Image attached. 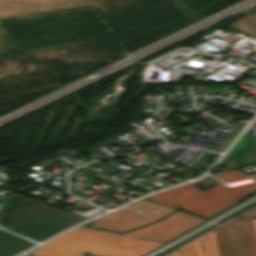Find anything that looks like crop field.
Listing matches in <instances>:
<instances>
[{"label": "crop field", "instance_id": "9", "mask_svg": "<svg viewBox=\"0 0 256 256\" xmlns=\"http://www.w3.org/2000/svg\"><path fill=\"white\" fill-rule=\"evenodd\" d=\"M250 256H256V228L254 220H244Z\"/></svg>", "mask_w": 256, "mask_h": 256}, {"label": "crop field", "instance_id": "1", "mask_svg": "<svg viewBox=\"0 0 256 256\" xmlns=\"http://www.w3.org/2000/svg\"><path fill=\"white\" fill-rule=\"evenodd\" d=\"M119 233L78 227L37 248L39 256H141L163 243L118 236Z\"/></svg>", "mask_w": 256, "mask_h": 256}, {"label": "crop field", "instance_id": "10", "mask_svg": "<svg viewBox=\"0 0 256 256\" xmlns=\"http://www.w3.org/2000/svg\"><path fill=\"white\" fill-rule=\"evenodd\" d=\"M253 175H256V173L245 176L240 170H237V171L228 172V173H224V174H218V175H214V176L222 179L223 181H235V180H239V179L253 176Z\"/></svg>", "mask_w": 256, "mask_h": 256}, {"label": "crop field", "instance_id": "12", "mask_svg": "<svg viewBox=\"0 0 256 256\" xmlns=\"http://www.w3.org/2000/svg\"><path fill=\"white\" fill-rule=\"evenodd\" d=\"M179 251H180V250H178V251H176V252H174V253H172V254H170V255H168V256H178V255H179Z\"/></svg>", "mask_w": 256, "mask_h": 256}, {"label": "crop field", "instance_id": "6", "mask_svg": "<svg viewBox=\"0 0 256 256\" xmlns=\"http://www.w3.org/2000/svg\"><path fill=\"white\" fill-rule=\"evenodd\" d=\"M234 256H249L243 220L228 222Z\"/></svg>", "mask_w": 256, "mask_h": 256}, {"label": "crop field", "instance_id": "2", "mask_svg": "<svg viewBox=\"0 0 256 256\" xmlns=\"http://www.w3.org/2000/svg\"><path fill=\"white\" fill-rule=\"evenodd\" d=\"M212 178L208 177L199 182ZM215 182L218 184L206 191L196 189L194 186L197 183H195L148 196L146 199L207 218L256 191V183L226 188L221 185L222 181ZM176 205L181 207H174Z\"/></svg>", "mask_w": 256, "mask_h": 256}, {"label": "crop field", "instance_id": "8", "mask_svg": "<svg viewBox=\"0 0 256 256\" xmlns=\"http://www.w3.org/2000/svg\"><path fill=\"white\" fill-rule=\"evenodd\" d=\"M218 237L220 256H233L228 225L225 224L215 229Z\"/></svg>", "mask_w": 256, "mask_h": 256}, {"label": "crop field", "instance_id": "7", "mask_svg": "<svg viewBox=\"0 0 256 256\" xmlns=\"http://www.w3.org/2000/svg\"><path fill=\"white\" fill-rule=\"evenodd\" d=\"M228 27L256 39V14H249L229 24Z\"/></svg>", "mask_w": 256, "mask_h": 256}, {"label": "crop field", "instance_id": "3", "mask_svg": "<svg viewBox=\"0 0 256 256\" xmlns=\"http://www.w3.org/2000/svg\"><path fill=\"white\" fill-rule=\"evenodd\" d=\"M174 210L140 200L94 220L93 227L123 232L153 222Z\"/></svg>", "mask_w": 256, "mask_h": 256}, {"label": "crop field", "instance_id": "5", "mask_svg": "<svg viewBox=\"0 0 256 256\" xmlns=\"http://www.w3.org/2000/svg\"><path fill=\"white\" fill-rule=\"evenodd\" d=\"M200 245H204V248H200ZM179 256H219V248L215 231H212L181 248Z\"/></svg>", "mask_w": 256, "mask_h": 256}, {"label": "crop field", "instance_id": "4", "mask_svg": "<svg viewBox=\"0 0 256 256\" xmlns=\"http://www.w3.org/2000/svg\"><path fill=\"white\" fill-rule=\"evenodd\" d=\"M202 222L201 219L177 211L162 221L120 235L166 243Z\"/></svg>", "mask_w": 256, "mask_h": 256}, {"label": "crop field", "instance_id": "13", "mask_svg": "<svg viewBox=\"0 0 256 256\" xmlns=\"http://www.w3.org/2000/svg\"><path fill=\"white\" fill-rule=\"evenodd\" d=\"M255 222H256V220H255Z\"/></svg>", "mask_w": 256, "mask_h": 256}, {"label": "crop field", "instance_id": "11", "mask_svg": "<svg viewBox=\"0 0 256 256\" xmlns=\"http://www.w3.org/2000/svg\"><path fill=\"white\" fill-rule=\"evenodd\" d=\"M239 217H256V208L252 209L251 211H249Z\"/></svg>", "mask_w": 256, "mask_h": 256}]
</instances>
